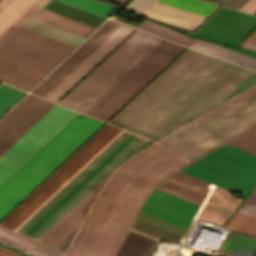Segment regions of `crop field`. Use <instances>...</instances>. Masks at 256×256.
I'll return each mask as SVG.
<instances>
[{
	"label": "crop field",
	"mask_w": 256,
	"mask_h": 256,
	"mask_svg": "<svg viewBox=\"0 0 256 256\" xmlns=\"http://www.w3.org/2000/svg\"><path fill=\"white\" fill-rule=\"evenodd\" d=\"M121 131L122 129L107 124L0 225L15 231ZM145 139L123 130L16 232L38 240L140 146ZM111 174L43 235L39 241L55 247L75 229L84 215L87 214L98 191Z\"/></svg>",
	"instance_id": "8a807250"
},
{
	"label": "crop field",
	"mask_w": 256,
	"mask_h": 256,
	"mask_svg": "<svg viewBox=\"0 0 256 256\" xmlns=\"http://www.w3.org/2000/svg\"><path fill=\"white\" fill-rule=\"evenodd\" d=\"M251 72L188 48L110 124L157 141L217 106Z\"/></svg>",
	"instance_id": "ac0d7876"
},
{
	"label": "crop field",
	"mask_w": 256,
	"mask_h": 256,
	"mask_svg": "<svg viewBox=\"0 0 256 256\" xmlns=\"http://www.w3.org/2000/svg\"><path fill=\"white\" fill-rule=\"evenodd\" d=\"M187 165L158 144L130 158L106 182L64 256H112L141 202Z\"/></svg>",
	"instance_id": "34b2d1b8"
},
{
	"label": "crop field",
	"mask_w": 256,
	"mask_h": 256,
	"mask_svg": "<svg viewBox=\"0 0 256 256\" xmlns=\"http://www.w3.org/2000/svg\"><path fill=\"white\" fill-rule=\"evenodd\" d=\"M161 40L136 30L59 104L84 113ZM185 49L163 39L85 114L107 122Z\"/></svg>",
	"instance_id": "412701ff"
},
{
	"label": "crop field",
	"mask_w": 256,
	"mask_h": 256,
	"mask_svg": "<svg viewBox=\"0 0 256 256\" xmlns=\"http://www.w3.org/2000/svg\"><path fill=\"white\" fill-rule=\"evenodd\" d=\"M80 113L56 104L0 157V187ZM103 122L73 120L0 188V219Z\"/></svg>",
	"instance_id": "f4fd0767"
},
{
	"label": "crop field",
	"mask_w": 256,
	"mask_h": 256,
	"mask_svg": "<svg viewBox=\"0 0 256 256\" xmlns=\"http://www.w3.org/2000/svg\"><path fill=\"white\" fill-rule=\"evenodd\" d=\"M49 0H0V81L28 91L74 46L21 28L31 17L86 37L95 27L41 9Z\"/></svg>",
	"instance_id": "dd49c442"
},
{
	"label": "crop field",
	"mask_w": 256,
	"mask_h": 256,
	"mask_svg": "<svg viewBox=\"0 0 256 256\" xmlns=\"http://www.w3.org/2000/svg\"><path fill=\"white\" fill-rule=\"evenodd\" d=\"M256 125V86L156 142L187 163Z\"/></svg>",
	"instance_id": "e52e79f7"
},
{
	"label": "crop field",
	"mask_w": 256,
	"mask_h": 256,
	"mask_svg": "<svg viewBox=\"0 0 256 256\" xmlns=\"http://www.w3.org/2000/svg\"><path fill=\"white\" fill-rule=\"evenodd\" d=\"M115 23L116 22L108 20L77 50H75L63 63H61L50 75H48L37 87H35L31 91V93L38 95ZM121 26L122 24L117 22L85 53H83L72 65H70L58 78H56L45 90H43L39 94V96L44 98ZM133 30V28L123 25L91 56H89L78 68H76L64 81H62L51 93H49L45 97V99L57 102Z\"/></svg>",
	"instance_id": "d8731c3e"
},
{
	"label": "crop field",
	"mask_w": 256,
	"mask_h": 256,
	"mask_svg": "<svg viewBox=\"0 0 256 256\" xmlns=\"http://www.w3.org/2000/svg\"><path fill=\"white\" fill-rule=\"evenodd\" d=\"M181 172L247 195L256 185V156L226 144Z\"/></svg>",
	"instance_id": "5a996713"
},
{
	"label": "crop field",
	"mask_w": 256,
	"mask_h": 256,
	"mask_svg": "<svg viewBox=\"0 0 256 256\" xmlns=\"http://www.w3.org/2000/svg\"><path fill=\"white\" fill-rule=\"evenodd\" d=\"M157 189L202 205L196 219L222 225L242 200L230 191L181 172L167 178Z\"/></svg>",
	"instance_id": "3316defc"
},
{
	"label": "crop field",
	"mask_w": 256,
	"mask_h": 256,
	"mask_svg": "<svg viewBox=\"0 0 256 256\" xmlns=\"http://www.w3.org/2000/svg\"><path fill=\"white\" fill-rule=\"evenodd\" d=\"M218 7L202 0H155L141 15L195 31Z\"/></svg>",
	"instance_id": "28ad6ade"
},
{
	"label": "crop field",
	"mask_w": 256,
	"mask_h": 256,
	"mask_svg": "<svg viewBox=\"0 0 256 256\" xmlns=\"http://www.w3.org/2000/svg\"><path fill=\"white\" fill-rule=\"evenodd\" d=\"M255 27V16L222 7L192 36L236 47Z\"/></svg>",
	"instance_id": "d1516ede"
},
{
	"label": "crop field",
	"mask_w": 256,
	"mask_h": 256,
	"mask_svg": "<svg viewBox=\"0 0 256 256\" xmlns=\"http://www.w3.org/2000/svg\"><path fill=\"white\" fill-rule=\"evenodd\" d=\"M199 205L155 189L141 212L187 229Z\"/></svg>",
	"instance_id": "22f410ed"
},
{
	"label": "crop field",
	"mask_w": 256,
	"mask_h": 256,
	"mask_svg": "<svg viewBox=\"0 0 256 256\" xmlns=\"http://www.w3.org/2000/svg\"><path fill=\"white\" fill-rule=\"evenodd\" d=\"M54 105L37 97L0 132V142L11 146ZM4 144L0 143V156L9 148Z\"/></svg>",
	"instance_id": "cbeb9de0"
},
{
	"label": "crop field",
	"mask_w": 256,
	"mask_h": 256,
	"mask_svg": "<svg viewBox=\"0 0 256 256\" xmlns=\"http://www.w3.org/2000/svg\"><path fill=\"white\" fill-rule=\"evenodd\" d=\"M0 241L36 256H61L63 252L0 227Z\"/></svg>",
	"instance_id": "5142ce71"
},
{
	"label": "crop field",
	"mask_w": 256,
	"mask_h": 256,
	"mask_svg": "<svg viewBox=\"0 0 256 256\" xmlns=\"http://www.w3.org/2000/svg\"><path fill=\"white\" fill-rule=\"evenodd\" d=\"M23 28L76 46L84 37L31 18Z\"/></svg>",
	"instance_id": "d9b57169"
},
{
	"label": "crop field",
	"mask_w": 256,
	"mask_h": 256,
	"mask_svg": "<svg viewBox=\"0 0 256 256\" xmlns=\"http://www.w3.org/2000/svg\"><path fill=\"white\" fill-rule=\"evenodd\" d=\"M154 240L128 231L114 256H146Z\"/></svg>",
	"instance_id": "733c2abd"
},
{
	"label": "crop field",
	"mask_w": 256,
	"mask_h": 256,
	"mask_svg": "<svg viewBox=\"0 0 256 256\" xmlns=\"http://www.w3.org/2000/svg\"><path fill=\"white\" fill-rule=\"evenodd\" d=\"M190 47L204 51L206 53L212 54L214 56L223 58L225 60L234 62L236 64L245 66L247 68L253 69L256 71V60L242 56L240 54L228 51L226 49L217 47L215 45L203 42L201 40H195Z\"/></svg>",
	"instance_id": "4a817a6b"
},
{
	"label": "crop field",
	"mask_w": 256,
	"mask_h": 256,
	"mask_svg": "<svg viewBox=\"0 0 256 256\" xmlns=\"http://www.w3.org/2000/svg\"><path fill=\"white\" fill-rule=\"evenodd\" d=\"M138 28L149 31L151 33L157 34L159 36L165 37L167 39L173 40L175 42L181 43L188 46L196 38L189 37L187 35L181 34L174 30L168 29L156 23L146 20Z\"/></svg>",
	"instance_id": "bc2a9ffb"
},
{
	"label": "crop field",
	"mask_w": 256,
	"mask_h": 256,
	"mask_svg": "<svg viewBox=\"0 0 256 256\" xmlns=\"http://www.w3.org/2000/svg\"><path fill=\"white\" fill-rule=\"evenodd\" d=\"M26 93L15 88L0 84V117L8 111Z\"/></svg>",
	"instance_id": "214f88e0"
},
{
	"label": "crop field",
	"mask_w": 256,
	"mask_h": 256,
	"mask_svg": "<svg viewBox=\"0 0 256 256\" xmlns=\"http://www.w3.org/2000/svg\"><path fill=\"white\" fill-rule=\"evenodd\" d=\"M225 228L256 235V220L235 212Z\"/></svg>",
	"instance_id": "92a150f3"
},
{
	"label": "crop field",
	"mask_w": 256,
	"mask_h": 256,
	"mask_svg": "<svg viewBox=\"0 0 256 256\" xmlns=\"http://www.w3.org/2000/svg\"><path fill=\"white\" fill-rule=\"evenodd\" d=\"M74 6L86 9L88 11L100 14L102 16H109L115 7L98 2L96 0H60Z\"/></svg>",
	"instance_id": "dafd665d"
},
{
	"label": "crop field",
	"mask_w": 256,
	"mask_h": 256,
	"mask_svg": "<svg viewBox=\"0 0 256 256\" xmlns=\"http://www.w3.org/2000/svg\"><path fill=\"white\" fill-rule=\"evenodd\" d=\"M227 143L256 155V126Z\"/></svg>",
	"instance_id": "00972430"
},
{
	"label": "crop field",
	"mask_w": 256,
	"mask_h": 256,
	"mask_svg": "<svg viewBox=\"0 0 256 256\" xmlns=\"http://www.w3.org/2000/svg\"><path fill=\"white\" fill-rule=\"evenodd\" d=\"M36 96L29 94L23 101H21L8 115L0 121V131L16 117L29 103H31Z\"/></svg>",
	"instance_id": "a9b5d70f"
},
{
	"label": "crop field",
	"mask_w": 256,
	"mask_h": 256,
	"mask_svg": "<svg viewBox=\"0 0 256 256\" xmlns=\"http://www.w3.org/2000/svg\"><path fill=\"white\" fill-rule=\"evenodd\" d=\"M237 212L256 219V189L250 194V196L239 207Z\"/></svg>",
	"instance_id": "4177f3b9"
},
{
	"label": "crop field",
	"mask_w": 256,
	"mask_h": 256,
	"mask_svg": "<svg viewBox=\"0 0 256 256\" xmlns=\"http://www.w3.org/2000/svg\"><path fill=\"white\" fill-rule=\"evenodd\" d=\"M153 0H133L129 3L125 9L139 14L144 8H146Z\"/></svg>",
	"instance_id": "730fd06b"
},
{
	"label": "crop field",
	"mask_w": 256,
	"mask_h": 256,
	"mask_svg": "<svg viewBox=\"0 0 256 256\" xmlns=\"http://www.w3.org/2000/svg\"><path fill=\"white\" fill-rule=\"evenodd\" d=\"M247 0H213L212 3L238 9Z\"/></svg>",
	"instance_id": "eef30255"
},
{
	"label": "crop field",
	"mask_w": 256,
	"mask_h": 256,
	"mask_svg": "<svg viewBox=\"0 0 256 256\" xmlns=\"http://www.w3.org/2000/svg\"><path fill=\"white\" fill-rule=\"evenodd\" d=\"M239 10L245 11L247 13L256 14V0H248L246 3H244Z\"/></svg>",
	"instance_id": "ae1a2a85"
},
{
	"label": "crop field",
	"mask_w": 256,
	"mask_h": 256,
	"mask_svg": "<svg viewBox=\"0 0 256 256\" xmlns=\"http://www.w3.org/2000/svg\"><path fill=\"white\" fill-rule=\"evenodd\" d=\"M242 46L256 50V32Z\"/></svg>",
	"instance_id": "d3111659"
},
{
	"label": "crop field",
	"mask_w": 256,
	"mask_h": 256,
	"mask_svg": "<svg viewBox=\"0 0 256 256\" xmlns=\"http://www.w3.org/2000/svg\"><path fill=\"white\" fill-rule=\"evenodd\" d=\"M0 256H20L0 248Z\"/></svg>",
	"instance_id": "750c4746"
},
{
	"label": "crop field",
	"mask_w": 256,
	"mask_h": 256,
	"mask_svg": "<svg viewBox=\"0 0 256 256\" xmlns=\"http://www.w3.org/2000/svg\"><path fill=\"white\" fill-rule=\"evenodd\" d=\"M112 1H114V2H117V3L121 4V3H123L125 0H112Z\"/></svg>",
	"instance_id": "bd1437ed"
}]
</instances>
